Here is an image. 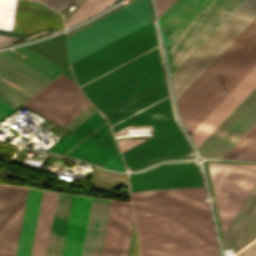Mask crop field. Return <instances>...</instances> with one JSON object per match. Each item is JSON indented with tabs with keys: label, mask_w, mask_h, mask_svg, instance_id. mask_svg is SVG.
Instances as JSON below:
<instances>
[{
	"label": "crop field",
	"mask_w": 256,
	"mask_h": 256,
	"mask_svg": "<svg viewBox=\"0 0 256 256\" xmlns=\"http://www.w3.org/2000/svg\"><path fill=\"white\" fill-rule=\"evenodd\" d=\"M155 22L70 64L80 90L109 120L115 135L151 126L152 137L122 153L129 170L158 161L188 159L195 151L176 115Z\"/></svg>",
	"instance_id": "obj_1"
},
{
	"label": "crop field",
	"mask_w": 256,
	"mask_h": 256,
	"mask_svg": "<svg viewBox=\"0 0 256 256\" xmlns=\"http://www.w3.org/2000/svg\"><path fill=\"white\" fill-rule=\"evenodd\" d=\"M205 187L131 193L140 251L218 246Z\"/></svg>",
	"instance_id": "obj_2"
},
{
	"label": "crop field",
	"mask_w": 256,
	"mask_h": 256,
	"mask_svg": "<svg viewBox=\"0 0 256 256\" xmlns=\"http://www.w3.org/2000/svg\"><path fill=\"white\" fill-rule=\"evenodd\" d=\"M256 123V66L190 133L199 155L223 158ZM224 158L256 160V124Z\"/></svg>",
	"instance_id": "obj_3"
},
{
	"label": "crop field",
	"mask_w": 256,
	"mask_h": 256,
	"mask_svg": "<svg viewBox=\"0 0 256 256\" xmlns=\"http://www.w3.org/2000/svg\"><path fill=\"white\" fill-rule=\"evenodd\" d=\"M255 52L256 18L176 100L184 124L201 109ZM255 65L256 53L185 125L189 133ZM225 91L227 93L224 94L223 92Z\"/></svg>",
	"instance_id": "obj_4"
},
{
	"label": "crop field",
	"mask_w": 256,
	"mask_h": 256,
	"mask_svg": "<svg viewBox=\"0 0 256 256\" xmlns=\"http://www.w3.org/2000/svg\"><path fill=\"white\" fill-rule=\"evenodd\" d=\"M47 152L126 171L109 125L98 111Z\"/></svg>",
	"instance_id": "obj_5"
},
{
	"label": "crop field",
	"mask_w": 256,
	"mask_h": 256,
	"mask_svg": "<svg viewBox=\"0 0 256 256\" xmlns=\"http://www.w3.org/2000/svg\"><path fill=\"white\" fill-rule=\"evenodd\" d=\"M256 17V0H244L171 75L176 99Z\"/></svg>",
	"instance_id": "obj_6"
},
{
	"label": "crop field",
	"mask_w": 256,
	"mask_h": 256,
	"mask_svg": "<svg viewBox=\"0 0 256 256\" xmlns=\"http://www.w3.org/2000/svg\"><path fill=\"white\" fill-rule=\"evenodd\" d=\"M151 22L146 0H137L67 37L70 63Z\"/></svg>",
	"instance_id": "obj_7"
},
{
	"label": "crop field",
	"mask_w": 256,
	"mask_h": 256,
	"mask_svg": "<svg viewBox=\"0 0 256 256\" xmlns=\"http://www.w3.org/2000/svg\"><path fill=\"white\" fill-rule=\"evenodd\" d=\"M91 200L58 193L46 256H81Z\"/></svg>",
	"instance_id": "obj_8"
},
{
	"label": "crop field",
	"mask_w": 256,
	"mask_h": 256,
	"mask_svg": "<svg viewBox=\"0 0 256 256\" xmlns=\"http://www.w3.org/2000/svg\"><path fill=\"white\" fill-rule=\"evenodd\" d=\"M222 234L256 181V165L207 162Z\"/></svg>",
	"instance_id": "obj_9"
},
{
	"label": "crop field",
	"mask_w": 256,
	"mask_h": 256,
	"mask_svg": "<svg viewBox=\"0 0 256 256\" xmlns=\"http://www.w3.org/2000/svg\"><path fill=\"white\" fill-rule=\"evenodd\" d=\"M242 1L212 0L183 32L181 31L182 33L180 32L181 34H178L179 36L166 48L167 61L171 74Z\"/></svg>",
	"instance_id": "obj_10"
},
{
	"label": "crop field",
	"mask_w": 256,
	"mask_h": 256,
	"mask_svg": "<svg viewBox=\"0 0 256 256\" xmlns=\"http://www.w3.org/2000/svg\"><path fill=\"white\" fill-rule=\"evenodd\" d=\"M22 105L62 127L91 104L75 81L61 74Z\"/></svg>",
	"instance_id": "obj_11"
},
{
	"label": "crop field",
	"mask_w": 256,
	"mask_h": 256,
	"mask_svg": "<svg viewBox=\"0 0 256 256\" xmlns=\"http://www.w3.org/2000/svg\"><path fill=\"white\" fill-rule=\"evenodd\" d=\"M42 191L29 189L16 256H29ZM57 193L43 191L31 256H44Z\"/></svg>",
	"instance_id": "obj_12"
},
{
	"label": "crop field",
	"mask_w": 256,
	"mask_h": 256,
	"mask_svg": "<svg viewBox=\"0 0 256 256\" xmlns=\"http://www.w3.org/2000/svg\"><path fill=\"white\" fill-rule=\"evenodd\" d=\"M130 192L205 186L196 162L163 163L129 174Z\"/></svg>",
	"instance_id": "obj_13"
},
{
	"label": "crop field",
	"mask_w": 256,
	"mask_h": 256,
	"mask_svg": "<svg viewBox=\"0 0 256 256\" xmlns=\"http://www.w3.org/2000/svg\"><path fill=\"white\" fill-rule=\"evenodd\" d=\"M0 28L33 34L64 29V24L61 15L38 3L0 0Z\"/></svg>",
	"instance_id": "obj_14"
},
{
	"label": "crop field",
	"mask_w": 256,
	"mask_h": 256,
	"mask_svg": "<svg viewBox=\"0 0 256 256\" xmlns=\"http://www.w3.org/2000/svg\"><path fill=\"white\" fill-rule=\"evenodd\" d=\"M51 79L0 52V84L20 96L28 99ZM0 100L12 107L20 105L22 100L0 88Z\"/></svg>",
	"instance_id": "obj_15"
},
{
	"label": "crop field",
	"mask_w": 256,
	"mask_h": 256,
	"mask_svg": "<svg viewBox=\"0 0 256 256\" xmlns=\"http://www.w3.org/2000/svg\"><path fill=\"white\" fill-rule=\"evenodd\" d=\"M28 189L0 187V256H14Z\"/></svg>",
	"instance_id": "obj_16"
},
{
	"label": "crop field",
	"mask_w": 256,
	"mask_h": 256,
	"mask_svg": "<svg viewBox=\"0 0 256 256\" xmlns=\"http://www.w3.org/2000/svg\"><path fill=\"white\" fill-rule=\"evenodd\" d=\"M221 247L233 248L235 256H256V183L223 237Z\"/></svg>",
	"instance_id": "obj_17"
},
{
	"label": "crop field",
	"mask_w": 256,
	"mask_h": 256,
	"mask_svg": "<svg viewBox=\"0 0 256 256\" xmlns=\"http://www.w3.org/2000/svg\"><path fill=\"white\" fill-rule=\"evenodd\" d=\"M132 221L131 204L111 201L100 256H126Z\"/></svg>",
	"instance_id": "obj_18"
},
{
	"label": "crop field",
	"mask_w": 256,
	"mask_h": 256,
	"mask_svg": "<svg viewBox=\"0 0 256 256\" xmlns=\"http://www.w3.org/2000/svg\"><path fill=\"white\" fill-rule=\"evenodd\" d=\"M210 1L175 0L158 18L164 46L172 42Z\"/></svg>",
	"instance_id": "obj_19"
},
{
	"label": "crop field",
	"mask_w": 256,
	"mask_h": 256,
	"mask_svg": "<svg viewBox=\"0 0 256 256\" xmlns=\"http://www.w3.org/2000/svg\"><path fill=\"white\" fill-rule=\"evenodd\" d=\"M109 203L93 198L82 256H99Z\"/></svg>",
	"instance_id": "obj_20"
},
{
	"label": "crop field",
	"mask_w": 256,
	"mask_h": 256,
	"mask_svg": "<svg viewBox=\"0 0 256 256\" xmlns=\"http://www.w3.org/2000/svg\"><path fill=\"white\" fill-rule=\"evenodd\" d=\"M24 47L17 49L30 57L25 61L8 51H5V53L9 54L10 56L16 58L17 60L23 62L24 64L30 66L31 68L37 70L38 72L44 74L51 79L64 70Z\"/></svg>",
	"instance_id": "obj_21"
},
{
	"label": "crop field",
	"mask_w": 256,
	"mask_h": 256,
	"mask_svg": "<svg viewBox=\"0 0 256 256\" xmlns=\"http://www.w3.org/2000/svg\"><path fill=\"white\" fill-rule=\"evenodd\" d=\"M113 2L114 0H86L66 22V27L76 24L109 7Z\"/></svg>",
	"instance_id": "obj_22"
},
{
	"label": "crop field",
	"mask_w": 256,
	"mask_h": 256,
	"mask_svg": "<svg viewBox=\"0 0 256 256\" xmlns=\"http://www.w3.org/2000/svg\"><path fill=\"white\" fill-rule=\"evenodd\" d=\"M139 256H217L216 248H195L140 252Z\"/></svg>",
	"instance_id": "obj_23"
},
{
	"label": "crop field",
	"mask_w": 256,
	"mask_h": 256,
	"mask_svg": "<svg viewBox=\"0 0 256 256\" xmlns=\"http://www.w3.org/2000/svg\"><path fill=\"white\" fill-rule=\"evenodd\" d=\"M36 1H39L45 5H48L61 13L73 3L80 6L85 0H36ZM75 11H73L68 17H66L65 21H67Z\"/></svg>",
	"instance_id": "obj_24"
},
{
	"label": "crop field",
	"mask_w": 256,
	"mask_h": 256,
	"mask_svg": "<svg viewBox=\"0 0 256 256\" xmlns=\"http://www.w3.org/2000/svg\"><path fill=\"white\" fill-rule=\"evenodd\" d=\"M27 36H29V34L0 29V47L10 43L17 42Z\"/></svg>",
	"instance_id": "obj_25"
},
{
	"label": "crop field",
	"mask_w": 256,
	"mask_h": 256,
	"mask_svg": "<svg viewBox=\"0 0 256 256\" xmlns=\"http://www.w3.org/2000/svg\"><path fill=\"white\" fill-rule=\"evenodd\" d=\"M14 108L8 106L7 104L3 103L2 101H0V112L4 113V114H8L9 112H11Z\"/></svg>",
	"instance_id": "obj_26"
},
{
	"label": "crop field",
	"mask_w": 256,
	"mask_h": 256,
	"mask_svg": "<svg viewBox=\"0 0 256 256\" xmlns=\"http://www.w3.org/2000/svg\"><path fill=\"white\" fill-rule=\"evenodd\" d=\"M5 116H6V115L0 113V120H1L3 117H5Z\"/></svg>",
	"instance_id": "obj_27"
}]
</instances>
